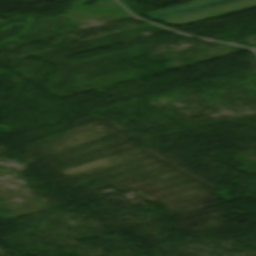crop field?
I'll use <instances>...</instances> for the list:
<instances>
[{
    "label": "crop field",
    "mask_w": 256,
    "mask_h": 256,
    "mask_svg": "<svg viewBox=\"0 0 256 256\" xmlns=\"http://www.w3.org/2000/svg\"><path fill=\"white\" fill-rule=\"evenodd\" d=\"M256 7V0H244L188 15H183L167 20H163L166 24H179V25H185L249 8Z\"/></svg>",
    "instance_id": "1"
},
{
    "label": "crop field",
    "mask_w": 256,
    "mask_h": 256,
    "mask_svg": "<svg viewBox=\"0 0 256 256\" xmlns=\"http://www.w3.org/2000/svg\"><path fill=\"white\" fill-rule=\"evenodd\" d=\"M236 1H240V0H202L196 3H192V4H188V5H184V6L144 15V16L151 20H163V19H167V18H171V17L183 15V14H188V13H192V12H196V11L236 2Z\"/></svg>",
    "instance_id": "2"
}]
</instances>
